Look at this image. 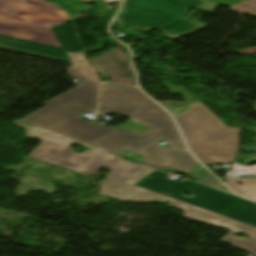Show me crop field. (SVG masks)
Here are the masks:
<instances>
[{"label":"crop field","mask_w":256,"mask_h":256,"mask_svg":"<svg viewBox=\"0 0 256 256\" xmlns=\"http://www.w3.org/2000/svg\"><path fill=\"white\" fill-rule=\"evenodd\" d=\"M27 131V136L42 141L28 157L88 176L100 167L112 169L102 183V193L126 201H165L186 210V217L233 232H249L256 237V204L223 193L193 181H173L169 173L146 165L127 162L122 157L89 146L75 139L37 126L15 123ZM74 144L90 150L75 154ZM192 193L194 197L181 196Z\"/></svg>","instance_id":"obj_1"},{"label":"crop field","mask_w":256,"mask_h":256,"mask_svg":"<svg viewBox=\"0 0 256 256\" xmlns=\"http://www.w3.org/2000/svg\"><path fill=\"white\" fill-rule=\"evenodd\" d=\"M100 100L136 107L131 120L151 127L144 134L117 128L90 142L94 146L117 153L123 149L144 156L143 162L159 168L190 172L197 162L189 152L159 147L164 138L172 148L185 149L179 132L170 116L138 89L113 83H103ZM164 159V161H161Z\"/></svg>","instance_id":"obj_2"},{"label":"crop field","mask_w":256,"mask_h":256,"mask_svg":"<svg viewBox=\"0 0 256 256\" xmlns=\"http://www.w3.org/2000/svg\"><path fill=\"white\" fill-rule=\"evenodd\" d=\"M99 86L98 82L82 80L21 120L88 143L113 130L79 118L96 106Z\"/></svg>","instance_id":"obj_3"},{"label":"crop field","mask_w":256,"mask_h":256,"mask_svg":"<svg viewBox=\"0 0 256 256\" xmlns=\"http://www.w3.org/2000/svg\"><path fill=\"white\" fill-rule=\"evenodd\" d=\"M175 119L191 151L204 165L234 161L241 129L227 128L201 103Z\"/></svg>","instance_id":"obj_4"},{"label":"crop field","mask_w":256,"mask_h":256,"mask_svg":"<svg viewBox=\"0 0 256 256\" xmlns=\"http://www.w3.org/2000/svg\"><path fill=\"white\" fill-rule=\"evenodd\" d=\"M204 0H125L116 19L133 29H160L167 37L178 38L207 25L184 18L190 7L199 10Z\"/></svg>","instance_id":"obj_5"},{"label":"crop field","mask_w":256,"mask_h":256,"mask_svg":"<svg viewBox=\"0 0 256 256\" xmlns=\"http://www.w3.org/2000/svg\"><path fill=\"white\" fill-rule=\"evenodd\" d=\"M11 20L54 27L70 20L58 6L41 0H25L15 17Z\"/></svg>","instance_id":"obj_6"},{"label":"crop field","mask_w":256,"mask_h":256,"mask_svg":"<svg viewBox=\"0 0 256 256\" xmlns=\"http://www.w3.org/2000/svg\"><path fill=\"white\" fill-rule=\"evenodd\" d=\"M0 35L60 47L51 30L46 27L0 18Z\"/></svg>","instance_id":"obj_7"},{"label":"crop field","mask_w":256,"mask_h":256,"mask_svg":"<svg viewBox=\"0 0 256 256\" xmlns=\"http://www.w3.org/2000/svg\"><path fill=\"white\" fill-rule=\"evenodd\" d=\"M0 50L72 63L63 49L0 36Z\"/></svg>","instance_id":"obj_8"},{"label":"crop field","mask_w":256,"mask_h":256,"mask_svg":"<svg viewBox=\"0 0 256 256\" xmlns=\"http://www.w3.org/2000/svg\"><path fill=\"white\" fill-rule=\"evenodd\" d=\"M51 30L66 52L82 51L78 37L65 24L52 28Z\"/></svg>","instance_id":"obj_9"},{"label":"crop field","mask_w":256,"mask_h":256,"mask_svg":"<svg viewBox=\"0 0 256 256\" xmlns=\"http://www.w3.org/2000/svg\"><path fill=\"white\" fill-rule=\"evenodd\" d=\"M239 182L243 183L244 185L239 186ZM225 184L237 194L256 201V179H240L237 177H230Z\"/></svg>","instance_id":"obj_10"},{"label":"crop field","mask_w":256,"mask_h":256,"mask_svg":"<svg viewBox=\"0 0 256 256\" xmlns=\"http://www.w3.org/2000/svg\"><path fill=\"white\" fill-rule=\"evenodd\" d=\"M235 234L236 233L230 232L220 241L225 242L227 244H232L234 248H238L240 250H243L256 256V238L249 237L247 239H243L234 236Z\"/></svg>","instance_id":"obj_11"},{"label":"crop field","mask_w":256,"mask_h":256,"mask_svg":"<svg viewBox=\"0 0 256 256\" xmlns=\"http://www.w3.org/2000/svg\"><path fill=\"white\" fill-rule=\"evenodd\" d=\"M135 109L136 108L133 107L100 101L98 114L103 115L109 112L120 116L130 117Z\"/></svg>","instance_id":"obj_12"},{"label":"crop field","mask_w":256,"mask_h":256,"mask_svg":"<svg viewBox=\"0 0 256 256\" xmlns=\"http://www.w3.org/2000/svg\"><path fill=\"white\" fill-rule=\"evenodd\" d=\"M24 0H0V16L12 18Z\"/></svg>","instance_id":"obj_13"},{"label":"crop field","mask_w":256,"mask_h":256,"mask_svg":"<svg viewBox=\"0 0 256 256\" xmlns=\"http://www.w3.org/2000/svg\"><path fill=\"white\" fill-rule=\"evenodd\" d=\"M76 67H77L82 78L100 81L98 79V77L95 75V73H94L93 69L91 68L90 64L88 63V61L76 64Z\"/></svg>","instance_id":"obj_14"},{"label":"crop field","mask_w":256,"mask_h":256,"mask_svg":"<svg viewBox=\"0 0 256 256\" xmlns=\"http://www.w3.org/2000/svg\"><path fill=\"white\" fill-rule=\"evenodd\" d=\"M231 7H235V8H239V9H243V10H246V11L256 13V0H247L243 3L236 4V5L231 6Z\"/></svg>","instance_id":"obj_15"},{"label":"crop field","mask_w":256,"mask_h":256,"mask_svg":"<svg viewBox=\"0 0 256 256\" xmlns=\"http://www.w3.org/2000/svg\"><path fill=\"white\" fill-rule=\"evenodd\" d=\"M68 55L70 56L73 63H76V62H79V61L85 59L82 52L81 53H68Z\"/></svg>","instance_id":"obj_16"},{"label":"crop field","mask_w":256,"mask_h":256,"mask_svg":"<svg viewBox=\"0 0 256 256\" xmlns=\"http://www.w3.org/2000/svg\"><path fill=\"white\" fill-rule=\"evenodd\" d=\"M68 74L70 75L71 79L81 78L75 65L71 66L70 68L66 69Z\"/></svg>","instance_id":"obj_17"},{"label":"crop field","mask_w":256,"mask_h":256,"mask_svg":"<svg viewBox=\"0 0 256 256\" xmlns=\"http://www.w3.org/2000/svg\"><path fill=\"white\" fill-rule=\"evenodd\" d=\"M211 1H215V2H218V3H221V4H225V5L231 6L233 4H236V3H239V2H243L245 0H211Z\"/></svg>","instance_id":"obj_18"},{"label":"crop field","mask_w":256,"mask_h":256,"mask_svg":"<svg viewBox=\"0 0 256 256\" xmlns=\"http://www.w3.org/2000/svg\"><path fill=\"white\" fill-rule=\"evenodd\" d=\"M200 182L230 192L223 184H213V183L208 182V181H205V180H203V179H201Z\"/></svg>","instance_id":"obj_19"},{"label":"crop field","mask_w":256,"mask_h":256,"mask_svg":"<svg viewBox=\"0 0 256 256\" xmlns=\"http://www.w3.org/2000/svg\"><path fill=\"white\" fill-rule=\"evenodd\" d=\"M216 6L217 4L206 2L202 10L207 12H213Z\"/></svg>","instance_id":"obj_20"},{"label":"crop field","mask_w":256,"mask_h":256,"mask_svg":"<svg viewBox=\"0 0 256 256\" xmlns=\"http://www.w3.org/2000/svg\"><path fill=\"white\" fill-rule=\"evenodd\" d=\"M249 173H255L256 174V166H250L249 167Z\"/></svg>","instance_id":"obj_21"},{"label":"crop field","mask_w":256,"mask_h":256,"mask_svg":"<svg viewBox=\"0 0 256 256\" xmlns=\"http://www.w3.org/2000/svg\"><path fill=\"white\" fill-rule=\"evenodd\" d=\"M80 1H89V0H80Z\"/></svg>","instance_id":"obj_22"}]
</instances>
